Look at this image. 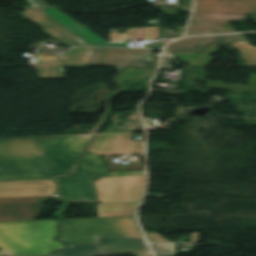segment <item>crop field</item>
Returning a JSON list of instances; mask_svg holds the SVG:
<instances>
[{
  "mask_svg": "<svg viewBox=\"0 0 256 256\" xmlns=\"http://www.w3.org/2000/svg\"><path fill=\"white\" fill-rule=\"evenodd\" d=\"M113 41L159 38V27L128 30L126 33H112Z\"/></svg>",
  "mask_w": 256,
  "mask_h": 256,
  "instance_id": "bc2a9ffb",
  "label": "crop field"
},
{
  "mask_svg": "<svg viewBox=\"0 0 256 256\" xmlns=\"http://www.w3.org/2000/svg\"><path fill=\"white\" fill-rule=\"evenodd\" d=\"M220 39H227L230 42H239L245 41L239 35H221V36H209V37H199V38H187L178 40L172 44H170L167 50H201L202 46L210 43L215 42Z\"/></svg>",
  "mask_w": 256,
  "mask_h": 256,
  "instance_id": "d9b57169",
  "label": "crop field"
},
{
  "mask_svg": "<svg viewBox=\"0 0 256 256\" xmlns=\"http://www.w3.org/2000/svg\"><path fill=\"white\" fill-rule=\"evenodd\" d=\"M156 256H173V248L170 244H152Z\"/></svg>",
  "mask_w": 256,
  "mask_h": 256,
  "instance_id": "92a150f3",
  "label": "crop field"
},
{
  "mask_svg": "<svg viewBox=\"0 0 256 256\" xmlns=\"http://www.w3.org/2000/svg\"><path fill=\"white\" fill-rule=\"evenodd\" d=\"M94 184L101 202H139L145 176L110 177Z\"/></svg>",
  "mask_w": 256,
  "mask_h": 256,
  "instance_id": "dd49c442",
  "label": "crop field"
},
{
  "mask_svg": "<svg viewBox=\"0 0 256 256\" xmlns=\"http://www.w3.org/2000/svg\"><path fill=\"white\" fill-rule=\"evenodd\" d=\"M218 46L219 42L205 46L206 49L201 54L183 52L178 53V55L183 63H189L190 66H206L210 63L211 59H214V57L209 55L218 51Z\"/></svg>",
  "mask_w": 256,
  "mask_h": 256,
  "instance_id": "4a817a6b",
  "label": "crop field"
},
{
  "mask_svg": "<svg viewBox=\"0 0 256 256\" xmlns=\"http://www.w3.org/2000/svg\"><path fill=\"white\" fill-rule=\"evenodd\" d=\"M36 198H0V221L36 220L45 203H35Z\"/></svg>",
  "mask_w": 256,
  "mask_h": 256,
  "instance_id": "3316defc",
  "label": "crop field"
},
{
  "mask_svg": "<svg viewBox=\"0 0 256 256\" xmlns=\"http://www.w3.org/2000/svg\"><path fill=\"white\" fill-rule=\"evenodd\" d=\"M247 20L245 15L194 12L189 35L235 32L227 21ZM197 22V23H192Z\"/></svg>",
  "mask_w": 256,
  "mask_h": 256,
  "instance_id": "5a996713",
  "label": "crop field"
},
{
  "mask_svg": "<svg viewBox=\"0 0 256 256\" xmlns=\"http://www.w3.org/2000/svg\"><path fill=\"white\" fill-rule=\"evenodd\" d=\"M152 51L94 48L90 64L114 65L119 70L125 66H148L151 64Z\"/></svg>",
  "mask_w": 256,
  "mask_h": 256,
  "instance_id": "e52e79f7",
  "label": "crop field"
},
{
  "mask_svg": "<svg viewBox=\"0 0 256 256\" xmlns=\"http://www.w3.org/2000/svg\"><path fill=\"white\" fill-rule=\"evenodd\" d=\"M250 82H251V86H244V85H224L222 84V82L207 81V88L256 91V75H253L250 78Z\"/></svg>",
  "mask_w": 256,
  "mask_h": 256,
  "instance_id": "214f88e0",
  "label": "crop field"
},
{
  "mask_svg": "<svg viewBox=\"0 0 256 256\" xmlns=\"http://www.w3.org/2000/svg\"><path fill=\"white\" fill-rule=\"evenodd\" d=\"M32 7H44L47 6L43 0H29V2Z\"/></svg>",
  "mask_w": 256,
  "mask_h": 256,
  "instance_id": "dafd665d",
  "label": "crop field"
},
{
  "mask_svg": "<svg viewBox=\"0 0 256 256\" xmlns=\"http://www.w3.org/2000/svg\"><path fill=\"white\" fill-rule=\"evenodd\" d=\"M92 135L48 139L38 146L45 156L0 159V181L53 179L67 175Z\"/></svg>",
  "mask_w": 256,
  "mask_h": 256,
  "instance_id": "8a807250",
  "label": "crop field"
},
{
  "mask_svg": "<svg viewBox=\"0 0 256 256\" xmlns=\"http://www.w3.org/2000/svg\"><path fill=\"white\" fill-rule=\"evenodd\" d=\"M254 22L256 23V16H251Z\"/></svg>",
  "mask_w": 256,
  "mask_h": 256,
  "instance_id": "00972430",
  "label": "crop field"
},
{
  "mask_svg": "<svg viewBox=\"0 0 256 256\" xmlns=\"http://www.w3.org/2000/svg\"><path fill=\"white\" fill-rule=\"evenodd\" d=\"M43 10L51 19L92 45L126 47V42H106L102 40L56 8H47Z\"/></svg>",
  "mask_w": 256,
  "mask_h": 256,
  "instance_id": "cbeb9de0",
  "label": "crop field"
},
{
  "mask_svg": "<svg viewBox=\"0 0 256 256\" xmlns=\"http://www.w3.org/2000/svg\"><path fill=\"white\" fill-rule=\"evenodd\" d=\"M55 137L63 136L0 139V158L42 156L37 144Z\"/></svg>",
  "mask_w": 256,
  "mask_h": 256,
  "instance_id": "22f410ed",
  "label": "crop field"
},
{
  "mask_svg": "<svg viewBox=\"0 0 256 256\" xmlns=\"http://www.w3.org/2000/svg\"><path fill=\"white\" fill-rule=\"evenodd\" d=\"M102 155L84 154L72 176L60 177L59 196L68 200L99 201L91 177L145 175L144 171L108 172Z\"/></svg>",
  "mask_w": 256,
  "mask_h": 256,
  "instance_id": "412701ff",
  "label": "crop field"
},
{
  "mask_svg": "<svg viewBox=\"0 0 256 256\" xmlns=\"http://www.w3.org/2000/svg\"><path fill=\"white\" fill-rule=\"evenodd\" d=\"M138 203L98 204V217L134 216Z\"/></svg>",
  "mask_w": 256,
  "mask_h": 256,
  "instance_id": "733c2abd",
  "label": "crop field"
},
{
  "mask_svg": "<svg viewBox=\"0 0 256 256\" xmlns=\"http://www.w3.org/2000/svg\"><path fill=\"white\" fill-rule=\"evenodd\" d=\"M57 220L0 222V256L50 254L64 245L53 240Z\"/></svg>",
  "mask_w": 256,
  "mask_h": 256,
  "instance_id": "ac0d7876",
  "label": "crop field"
},
{
  "mask_svg": "<svg viewBox=\"0 0 256 256\" xmlns=\"http://www.w3.org/2000/svg\"><path fill=\"white\" fill-rule=\"evenodd\" d=\"M97 243L72 245L58 251L59 256H93L149 252L143 238L97 237Z\"/></svg>",
  "mask_w": 256,
  "mask_h": 256,
  "instance_id": "f4fd0767",
  "label": "crop field"
},
{
  "mask_svg": "<svg viewBox=\"0 0 256 256\" xmlns=\"http://www.w3.org/2000/svg\"><path fill=\"white\" fill-rule=\"evenodd\" d=\"M130 133L97 135L89 152L102 155L142 154L143 142L129 140Z\"/></svg>",
  "mask_w": 256,
  "mask_h": 256,
  "instance_id": "d8731c3e",
  "label": "crop field"
},
{
  "mask_svg": "<svg viewBox=\"0 0 256 256\" xmlns=\"http://www.w3.org/2000/svg\"><path fill=\"white\" fill-rule=\"evenodd\" d=\"M52 180L0 182V197H29L53 195Z\"/></svg>",
  "mask_w": 256,
  "mask_h": 256,
  "instance_id": "28ad6ade",
  "label": "crop field"
},
{
  "mask_svg": "<svg viewBox=\"0 0 256 256\" xmlns=\"http://www.w3.org/2000/svg\"><path fill=\"white\" fill-rule=\"evenodd\" d=\"M98 236L143 237L134 217L65 220L60 238L76 243L96 242Z\"/></svg>",
  "mask_w": 256,
  "mask_h": 256,
  "instance_id": "34b2d1b8",
  "label": "crop field"
},
{
  "mask_svg": "<svg viewBox=\"0 0 256 256\" xmlns=\"http://www.w3.org/2000/svg\"><path fill=\"white\" fill-rule=\"evenodd\" d=\"M91 48H74L62 54L65 63L38 65L40 78H64L62 67L85 68L87 66Z\"/></svg>",
  "mask_w": 256,
  "mask_h": 256,
  "instance_id": "d1516ede",
  "label": "crop field"
},
{
  "mask_svg": "<svg viewBox=\"0 0 256 256\" xmlns=\"http://www.w3.org/2000/svg\"><path fill=\"white\" fill-rule=\"evenodd\" d=\"M196 10L256 14V0H196Z\"/></svg>",
  "mask_w": 256,
  "mask_h": 256,
  "instance_id": "5142ce71",
  "label": "crop field"
},
{
  "mask_svg": "<svg viewBox=\"0 0 256 256\" xmlns=\"http://www.w3.org/2000/svg\"><path fill=\"white\" fill-rule=\"evenodd\" d=\"M137 256H152L151 254L137 255Z\"/></svg>",
  "mask_w": 256,
  "mask_h": 256,
  "instance_id": "a9b5d70f",
  "label": "crop field"
}]
</instances>
